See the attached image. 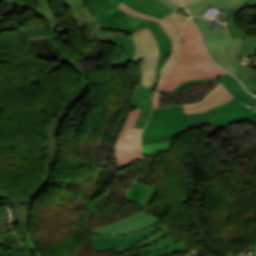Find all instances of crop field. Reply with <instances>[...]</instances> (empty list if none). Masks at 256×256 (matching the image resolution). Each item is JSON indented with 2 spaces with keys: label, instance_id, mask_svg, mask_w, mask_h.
Returning <instances> with one entry per match:
<instances>
[{
  "label": "crop field",
  "instance_id": "1",
  "mask_svg": "<svg viewBox=\"0 0 256 256\" xmlns=\"http://www.w3.org/2000/svg\"><path fill=\"white\" fill-rule=\"evenodd\" d=\"M249 110L235 97L229 103L192 115H184L183 111L153 109L150 120L143 130L142 145L170 140L178 133L195 127L192 123L198 121L210 120L206 124L225 127L243 121Z\"/></svg>",
  "mask_w": 256,
  "mask_h": 256
},
{
  "label": "crop field",
  "instance_id": "2",
  "mask_svg": "<svg viewBox=\"0 0 256 256\" xmlns=\"http://www.w3.org/2000/svg\"><path fill=\"white\" fill-rule=\"evenodd\" d=\"M181 38L186 43L180 44V55L175 67L161 79L154 94L153 108H158V97L161 92L169 93L183 81L213 78L226 73L208 58L201 37L190 21L187 22Z\"/></svg>",
  "mask_w": 256,
  "mask_h": 256
},
{
  "label": "crop field",
  "instance_id": "3",
  "mask_svg": "<svg viewBox=\"0 0 256 256\" xmlns=\"http://www.w3.org/2000/svg\"><path fill=\"white\" fill-rule=\"evenodd\" d=\"M200 28L211 58L227 71L237 75V63L243 45V38L232 40L226 24L219 23L212 28L211 20L194 18Z\"/></svg>",
  "mask_w": 256,
  "mask_h": 256
},
{
  "label": "crop field",
  "instance_id": "4",
  "mask_svg": "<svg viewBox=\"0 0 256 256\" xmlns=\"http://www.w3.org/2000/svg\"><path fill=\"white\" fill-rule=\"evenodd\" d=\"M129 37L134 44L132 62H142L140 67L141 85L152 88L159 56L156 39L148 27Z\"/></svg>",
  "mask_w": 256,
  "mask_h": 256
},
{
  "label": "crop field",
  "instance_id": "5",
  "mask_svg": "<svg viewBox=\"0 0 256 256\" xmlns=\"http://www.w3.org/2000/svg\"><path fill=\"white\" fill-rule=\"evenodd\" d=\"M124 10V12L133 15V16H138L146 19H150L153 21H156L160 24V26L165 30V32L169 35L171 41H172V51L171 54L165 63L164 67L162 68L159 79L163 76V74L170 68H172L179 52V36L182 32L184 23H185V18L176 14V13H171L170 15L166 16L165 18L159 20L154 17L136 12L132 9H130L127 5H125L123 2L120 3L118 6Z\"/></svg>",
  "mask_w": 256,
  "mask_h": 256
},
{
  "label": "crop field",
  "instance_id": "6",
  "mask_svg": "<svg viewBox=\"0 0 256 256\" xmlns=\"http://www.w3.org/2000/svg\"><path fill=\"white\" fill-rule=\"evenodd\" d=\"M158 221L159 218L150 214L145 215V212L142 210L140 213L114 225L92 229L91 232L99 235H127L151 227Z\"/></svg>",
  "mask_w": 256,
  "mask_h": 256
},
{
  "label": "crop field",
  "instance_id": "7",
  "mask_svg": "<svg viewBox=\"0 0 256 256\" xmlns=\"http://www.w3.org/2000/svg\"><path fill=\"white\" fill-rule=\"evenodd\" d=\"M97 13L104 23L103 27L126 30L132 33L155 23L150 20L130 16L118 7L112 10L97 11Z\"/></svg>",
  "mask_w": 256,
  "mask_h": 256
},
{
  "label": "crop field",
  "instance_id": "8",
  "mask_svg": "<svg viewBox=\"0 0 256 256\" xmlns=\"http://www.w3.org/2000/svg\"><path fill=\"white\" fill-rule=\"evenodd\" d=\"M50 169L49 166H47V172H46V176L43 179V181L37 185L35 188V190L26 198L23 200V202L18 201L16 199L10 198L9 195L3 193L0 190V197H5L10 203L11 205L14 207V209L17 212V216H18V224L20 226L21 232L26 234L27 237V241L29 243V246L32 250V253L35 256H39V254L37 253L30 237L27 231V219L29 216V208L35 198V196L40 192V190L44 187V185L48 182L49 180V176H50Z\"/></svg>",
  "mask_w": 256,
  "mask_h": 256
},
{
  "label": "crop field",
  "instance_id": "9",
  "mask_svg": "<svg viewBox=\"0 0 256 256\" xmlns=\"http://www.w3.org/2000/svg\"><path fill=\"white\" fill-rule=\"evenodd\" d=\"M256 52V38L244 37V45L238 63L239 79L246 88L256 94V70H251Z\"/></svg>",
  "mask_w": 256,
  "mask_h": 256
},
{
  "label": "crop field",
  "instance_id": "10",
  "mask_svg": "<svg viewBox=\"0 0 256 256\" xmlns=\"http://www.w3.org/2000/svg\"><path fill=\"white\" fill-rule=\"evenodd\" d=\"M38 14V13H37ZM45 19V18H44ZM46 20V19H45ZM47 21V20H46ZM48 23V21H47ZM49 24V23H48ZM49 31H50V37H51V41H52V45L53 48L55 49V51L59 54V56L61 57L63 63H66L68 65H70L73 69H75L77 72L78 70L76 68H74L69 62H67L65 60V58L59 53L58 49L56 48L54 41H53V36H52V30L51 27L49 26ZM79 76H80V82H81V88L80 90L64 105H62L61 109L59 110L57 116L55 118H53L52 120H50L48 122V124L45 126L44 130H43V135L46 139H48L50 137V143H49V152H50V156H51V160L53 161L54 158V154H55V150L58 147V143H57V138L56 135L59 131V126L60 124V120L63 119L64 115H65V106L70 103L71 101H73L74 99L78 98L81 94V92L83 91V89L86 87L82 76L80 75V73L78 72Z\"/></svg>",
  "mask_w": 256,
  "mask_h": 256
},
{
  "label": "crop field",
  "instance_id": "11",
  "mask_svg": "<svg viewBox=\"0 0 256 256\" xmlns=\"http://www.w3.org/2000/svg\"><path fill=\"white\" fill-rule=\"evenodd\" d=\"M98 41H109L117 45L114 61L111 68L126 67L131 62L133 44L124 34L100 32L97 30Z\"/></svg>",
  "mask_w": 256,
  "mask_h": 256
},
{
  "label": "crop field",
  "instance_id": "12",
  "mask_svg": "<svg viewBox=\"0 0 256 256\" xmlns=\"http://www.w3.org/2000/svg\"><path fill=\"white\" fill-rule=\"evenodd\" d=\"M141 109L129 113L115 145L118 170L130 166L128 138Z\"/></svg>",
  "mask_w": 256,
  "mask_h": 256
},
{
  "label": "crop field",
  "instance_id": "13",
  "mask_svg": "<svg viewBox=\"0 0 256 256\" xmlns=\"http://www.w3.org/2000/svg\"><path fill=\"white\" fill-rule=\"evenodd\" d=\"M155 229L156 227L151 228L149 230L142 231L140 233L131 234V235L122 236V237L90 236L89 239L93 249L97 251H103V250L113 249L121 246H126L136 241L145 239L150 235H152Z\"/></svg>",
  "mask_w": 256,
  "mask_h": 256
},
{
  "label": "crop field",
  "instance_id": "14",
  "mask_svg": "<svg viewBox=\"0 0 256 256\" xmlns=\"http://www.w3.org/2000/svg\"><path fill=\"white\" fill-rule=\"evenodd\" d=\"M234 96L230 94L224 86L219 84L206 95V97L196 104L183 105L185 114L202 112L204 110L216 107L229 101Z\"/></svg>",
  "mask_w": 256,
  "mask_h": 256
},
{
  "label": "crop field",
  "instance_id": "15",
  "mask_svg": "<svg viewBox=\"0 0 256 256\" xmlns=\"http://www.w3.org/2000/svg\"><path fill=\"white\" fill-rule=\"evenodd\" d=\"M153 91L154 89L148 87L135 86L130 106L134 108H142V110L133 128L143 129L145 126L151 110Z\"/></svg>",
  "mask_w": 256,
  "mask_h": 256
},
{
  "label": "crop field",
  "instance_id": "16",
  "mask_svg": "<svg viewBox=\"0 0 256 256\" xmlns=\"http://www.w3.org/2000/svg\"><path fill=\"white\" fill-rule=\"evenodd\" d=\"M111 7L115 8L121 1L127 4L132 9L157 17L159 19L173 12L158 0H109Z\"/></svg>",
  "mask_w": 256,
  "mask_h": 256
},
{
  "label": "crop field",
  "instance_id": "17",
  "mask_svg": "<svg viewBox=\"0 0 256 256\" xmlns=\"http://www.w3.org/2000/svg\"><path fill=\"white\" fill-rule=\"evenodd\" d=\"M250 0H194L185 4L191 15H202L211 5L224 10L237 9Z\"/></svg>",
  "mask_w": 256,
  "mask_h": 256
},
{
  "label": "crop field",
  "instance_id": "18",
  "mask_svg": "<svg viewBox=\"0 0 256 256\" xmlns=\"http://www.w3.org/2000/svg\"><path fill=\"white\" fill-rule=\"evenodd\" d=\"M185 248L187 247H185L180 242L176 243L175 237L168 236L163 240L152 244L151 246L142 249L140 252L130 256H167Z\"/></svg>",
  "mask_w": 256,
  "mask_h": 256
},
{
  "label": "crop field",
  "instance_id": "19",
  "mask_svg": "<svg viewBox=\"0 0 256 256\" xmlns=\"http://www.w3.org/2000/svg\"><path fill=\"white\" fill-rule=\"evenodd\" d=\"M71 13L75 16L72 19L79 23L80 27L87 26L90 33L95 34L98 26L93 17L88 13L82 0H65Z\"/></svg>",
  "mask_w": 256,
  "mask_h": 256
},
{
  "label": "crop field",
  "instance_id": "20",
  "mask_svg": "<svg viewBox=\"0 0 256 256\" xmlns=\"http://www.w3.org/2000/svg\"><path fill=\"white\" fill-rule=\"evenodd\" d=\"M218 80L244 105L250 108H254L256 106V98L245 92L237 80L231 77L229 74L226 73L225 75L218 77Z\"/></svg>",
  "mask_w": 256,
  "mask_h": 256
},
{
  "label": "crop field",
  "instance_id": "21",
  "mask_svg": "<svg viewBox=\"0 0 256 256\" xmlns=\"http://www.w3.org/2000/svg\"><path fill=\"white\" fill-rule=\"evenodd\" d=\"M150 30L153 32V34L156 36L159 50H160V56L159 61L157 65V75L154 82V85L158 79V75L160 72V69L163 67L165 61L167 60L169 53L171 51V42L167 34L164 32V30L159 26L158 23L152 24L148 26Z\"/></svg>",
  "mask_w": 256,
  "mask_h": 256
},
{
  "label": "crop field",
  "instance_id": "22",
  "mask_svg": "<svg viewBox=\"0 0 256 256\" xmlns=\"http://www.w3.org/2000/svg\"><path fill=\"white\" fill-rule=\"evenodd\" d=\"M15 2H18L22 5H25L29 8H32L34 10H36L40 15L44 16L47 20H49L50 22V26L52 27V30H53V36H54V41L56 43V35H55V30L57 29V21H56V18H55V14L54 12L52 11V9L49 7V0H38V8H33L31 6H29L28 4L24 3V2H21L19 0H13ZM56 46H57V43H56ZM58 48V46H57ZM59 49V48H58ZM60 50V49H59ZM61 54L66 58V60H68L70 63H72L64 54L63 52L60 50ZM73 66H75L76 68L79 69L81 75H83V78L88 86V82L85 78V75L83 74L82 70L79 68V66H76L72 63Z\"/></svg>",
  "mask_w": 256,
  "mask_h": 256
},
{
  "label": "crop field",
  "instance_id": "23",
  "mask_svg": "<svg viewBox=\"0 0 256 256\" xmlns=\"http://www.w3.org/2000/svg\"><path fill=\"white\" fill-rule=\"evenodd\" d=\"M141 131L133 129L130 134L129 147H130V159L131 165L140 160L141 158V149H140V139Z\"/></svg>",
  "mask_w": 256,
  "mask_h": 256
},
{
  "label": "crop field",
  "instance_id": "24",
  "mask_svg": "<svg viewBox=\"0 0 256 256\" xmlns=\"http://www.w3.org/2000/svg\"><path fill=\"white\" fill-rule=\"evenodd\" d=\"M253 5H256V0H252L250 1L249 3L245 4L244 6L240 7L238 10H233L228 18V24H229V28L231 30V33H232V36L233 38H237V37H241V36H247L243 31H241L239 29V27L237 26L235 20H234V17H235V14L245 8L246 6H253Z\"/></svg>",
  "mask_w": 256,
  "mask_h": 256
},
{
  "label": "crop field",
  "instance_id": "25",
  "mask_svg": "<svg viewBox=\"0 0 256 256\" xmlns=\"http://www.w3.org/2000/svg\"><path fill=\"white\" fill-rule=\"evenodd\" d=\"M149 187L142 186L133 183L132 186L129 188L127 192L126 199L132 202H135L137 199H139L147 190Z\"/></svg>",
  "mask_w": 256,
  "mask_h": 256
},
{
  "label": "crop field",
  "instance_id": "26",
  "mask_svg": "<svg viewBox=\"0 0 256 256\" xmlns=\"http://www.w3.org/2000/svg\"><path fill=\"white\" fill-rule=\"evenodd\" d=\"M172 141L142 146V153L144 155V154H151L153 152L166 151L169 149Z\"/></svg>",
  "mask_w": 256,
  "mask_h": 256
},
{
  "label": "crop field",
  "instance_id": "27",
  "mask_svg": "<svg viewBox=\"0 0 256 256\" xmlns=\"http://www.w3.org/2000/svg\"><path fill=\"white\" fill-rule=\"evenodd\" d=\"M88 10L111 9L108 0H84Z\"/></svg>",
  "mask_w": 256,
  "mask_h": 256
},
{
  "label": "crop field",
  "instance_id": "28",
  "mask_svg": "<svg viewBox=\"0 0 256 256\" xmlns=\"http://www.w3.org/2000/svg\"><path fill=\"white\" fill-rule=\"evenodd\" d=\"M2 1L4 3L2 14L20 13V7H22V5L10 0H2Z\"/></svg>",
  "mask_w": 256,
  "mask_h": 256
},
{
  "label": "crop field",
  "instance_id": "29",
  "mask_svg": "<svg viewBox=\"0 0 256 256\" xmlns=\"http://www.w3.org/2000/svg\"><path fill=\"white\" fill-rule=\"evenodd\" d=\"M212 79H203V80H191V81H187L184 82L182 84H180L178 87H176L173 92L171 93L172 98H175L176 95L178 94V92L188 86H192L194 84H198V83H204V82H210Z\"/></svg>",
  "mask_w": 256,
  "mask_h": 256
},
{
  "label": "crop field",
  "instance_id": "30",
  "mask_svg": "<svg viewBox=\"0 0 256 256\" xmlns=\"http://www.w3.org/2000/svg\"><path fill=\"white\" fill-rule=\"evenodd\" d=\"M169 233H170L169 229L164 228V229H162L161 231L158 232L159 235L154 236V237H152V238L146 240L144 243H142V244H141L140 246H138V247H141V246H144V245H147V244H150V243H155V242H157V241L163 239L164 237H166ZM138 247H136V248H138ZM133 249H135V248H133ZM131 250H132V249H131Z\"/></svg>",
  "mask_w": 256,
  "mask_h": 256
},
{
  "label": "crop field",
  "instance_id": "31",
  "mask_svg": "<svg viewBox=\"0 0 256 256\" xmlns=\"http://www.w3.org/2000/svg\"><path fill=\"white\" fill-rule=\"evenodd\" d=\"M156 191L150 189L149 191H147L139 200H137L136 202L140 205H144V207H146L151 200L153 199L154 195H155Z\"/></svg>",
  "mask_w": 256,
  "mask_h": 256
},
{
  "label": "crop field",
  "instance_id": "32",
  "mask_svg": "<svg viewBox=\"0 0 256 256\" xmlns=\"http://www.w3.org/2000/svg\"><path fill=\"white\" fill-rule=\"evenodd\" d=\"M245 119L256 124V108L254 110L249 111Z\"/></svg>",
  "mask_w": 256,
  "mask_h": 256
},
{
  "label": "crop field",
  "instance_id": "33",
  "mask_svg": "<svg viewBox=\"0 0 256 256\" xmlns=\"http://www.w3.org/2000/svg\"><path fill=\"white\" fill-rule=\"evenodd\" d=\"M163 1H164L166 4H168L170 7L174 8V9H176V10L181 9V7H179V6H177V5L173 4V3H171V2L168 1V0H163Z\"/></svg>",
  "mask_w": 256,
  "mask_h": 256
},
{
  "label": "crop field",
  "instance_id": "34",
  "mask_svg": "<svg viewBox=\"0 0 256 256\" xmlns=\"http://www.w3.org/2000/svg\"><path fill=\"white\" fill-rule=\"evenodd\" d=\"M94 15V17L96 18L97 22L99 25H102L103 23L101 22L100 18L98 17L97 13L95 11H91Z\"/></svg>",
  "mask_w": 256,
  "mask_h": 256
},
{
  "label": "crop field",
  "instance_id": "35",
  "mask_svg": "<svg viewBox=\"0 0 256 256\" xmlns=\"http://www.w3.org/2000/svg\"><path fill=\"white\" fill-rule=\"evenodd\" d=\"M251 249L255 250V253L252 255V256H255L256 255V243L251 247ZM242 256H246V255L243 254Z\"/></svg>",
  "mask_w": 256,
  "mask_h": 256
},
{
  "label": "crop field",
  "instance_id": "36",
  "mask_svg": "<svg viewBox=\"0 0 256 256\" xmlns=\"http://www.w3.org/2000/svg\"><path fill=\"white\" fill-rule=\"evenodd\" d=\"M170 1H172V2H174V3H176V4L180 5V6H182L181 3L179 2V0H170Z\"/></svg>",
  "mask_w": 256,
  "mask_h": 256
},
{
  "label": "crop field",
  "instance_id": "37",
  "mask_svg": "<svg viewBox=\"0 0 256 256\" xmlns=\"http://www.w3.org/2000/svg\"><path fill=\"white\" fill-rule=\"evenodd\" d=\"M231 11H227L226 14L223 17L227 18Z\"/></svg>",
  "mask_w": 256,
  "mask_h": 256
},
{
  "label": "crop field",
  "instance_id": "38",
  "mask_svg": "<svg viewBox=\"0 0 256 256\" xmlns=\"http://www.w3.org/2000/svg\"><path fill=\"white\" fill-rule=\"evenodd\" d=\"M182 1L185 4V3L189 2V1H192V0H182Z\"/></svg>",
  "mask_w": 256,
  "mask_h": 256
}]
</instances>
